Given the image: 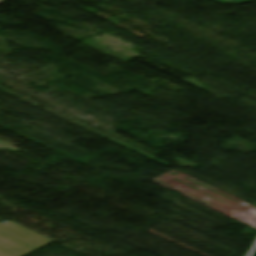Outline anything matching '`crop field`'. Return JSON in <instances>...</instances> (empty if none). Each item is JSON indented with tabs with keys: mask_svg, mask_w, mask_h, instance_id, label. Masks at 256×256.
Segmentation results:
<instances>
[{
	"mask_svg": "<svg viewBox=\"0 0 256 256\" xmlns=\"http://www.w3.org/2000/svg\"><path fill=\"white\" fill-rule=\"evenodd\" d=\"M4 1H7V0H4Z\"/></svg>",
	"mask_w": 256,
	"mask_h": 256,
	"instance_id": "obj_4",
	"label": "crop field"
},
{
	"mask_svg": "<svg viewBox=\"0 0 256 256\" xmlns=\"http://www.w3.org/2000/svg\"><path fill=\"white\" fill-rule=\"evenodd\" d=\"M1 2H4V1L0 0V3H1Z\"/></svg>",
	"mask_w": 256,
	"mask_h": 256,
	"instance_id": "obj_3",
	"label": "crop field"
},
{
	"mask_svg": "<svg viewBox=\"0 0 256 256\" xmlns=\"http://www.w3.org/2000/svg\"><path fill=\"white\" fill-rule=\"evenodd\" d=\"M223 5L229 4V3H247L251 2L250 0H215Z\"/></svg>",
	"mask_w": 256,
	"mask_h": 256,
	"instance_id": "obj_2",
	"label": "crop field"
},
{
	"mask_svg": "<svg viewBox=\"0 0 256 256\" xmlns=\"http://www.w3.org/2000/svg\"><path fill=\"white\" fill-rule=\"evenodd\" d=\"M51 242L14 223L0 224V256H24Z\"/></svg>",
	"mask_w": 256,
	"mask_h": 256,
	"instance_id": "obj_1",
	"label": "crop field"
}]
</instances>
